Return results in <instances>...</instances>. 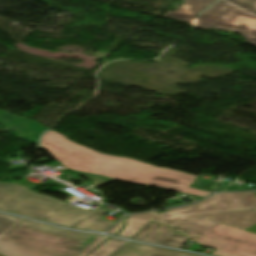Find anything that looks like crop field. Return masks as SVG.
I'll return each mask as SVG.
<instances>
[{"mask_svg":"<svg viewBox=\"0 0 256 256\" xmlns=\"http://www.w3.org/2000/svg\"><path fill=\"white\" fill-rule=\"evenodd\" d=\"M196 28L236 31L256 45V0H219L201 14Z\"/></svg>","mask_w":256,"mask_h":256,"instance_id":"5","label":"crop field"},{"mask_svg":"<svg viewBox=\"0 0 256 256\" xmlns=\"http://www.w3.org/2000/svg\"><path fill=\"white\" fill-rule=\"evenodd\" d=\"M186 3L183 4L177 11L171 13L168 12L165 17L181 20L184 22H192L194 16L206 8V6L215 0H185ZM209 6V5H208Z\"/></svg>","mask_w":256,"mask_h":256,"instance_id":"7","label":"crop field"},{"mask_svg":"<svg viewBox=\"0 0 256 256\" xmlns=\"http://www.w3.org/2000/svg\"><path fill=\"white\" fill-rule=\"evenodd\" d=\"M188 239L174 230L160 244L180 248Z\"/></svg>","mask_w":256,"mask_h":256,"instance_id":"12","label":"crop field"},{"mask_svg":"<svg viewBox=\"0 0 256 256\" xmlns=\"http://www.w3.org/2000/svg\"><path fill=\"white\" fill-rule=\"evenodd\" d=\"M174 256H196V255H192V254H188V253L178 251Z\"/></svg>","mask_w":256,"mask_h":256,"instance_id":"15","label":"crop field"},{"mask_svg":"<svg viewBox=\"0 0 256 256\" xmlns=\"http://www.w3.org/2000/svg\"><path fill=\"white\" fill-rule=\"evenodd\" d=\"M256 223V208L222 224L237 229H245Z\"/></svg>","mask_w":256,"mask_h":256,"instance_id":"11","label":"crop field"},{"mask_svg":"<svg viewBox=\"0 0 256 256\" xmlns=\"http://www.w3.org/2000/svg\"><path fill=\"white\" fill-rule=\"evenodd\" d=\"M97 239L92 234L0 215V254L4 256H78Z\"/></svg>","mask_w":256,"mask_h":256,"instance_id":"3","label":"crop field"},{"mask_svg":"<svg viewBox=\"0 0 256 256\" xmlns=\"http://www.w3.org/2000/svg\"><path fill=\"white\" fill-rule=\"evenodd\" d=\"M41 147L48 150L57 161H61L62 165L93 181L95 187L118 179L201 197L210 193L188 188L197 176L158 168L132 159L98 154L69 141L52 130L42 136Z\"/></svg>","mask_w":256,"mask_h":256,"instance_id":"1","label":"crop field"},{"mask_svg":"<svg viewBox=\"0 0 256 256\" xmlns=\"http://www.w3.org/2000/svg\"><path fill=\"white\" fill-rule=\"evenodd\" d=\"M215 248L212 256H256V234L219 225L194 238Z\"/></svg>","mask_w":256,"mask_h":256,"instance_id":"6","label":"crop field"},{"mask_svg":"<svg viewBox=\"0 0 256 256\" xmlns=\"http://www.w3.org/2000/svg\"><path fill=\"white\" fill-rule=\"evenodd\" d=\"M113 223H109L106 221H102L100 219L92 226L90 230L104 232L108 227H110Z\"/></svg>","mask_w":256,"mask_h":256,"instance_id":"14","label":"crop field"},{"mask_svg":"<svg viewBox=\"0 0 256 256\" xmlns=\"http://www.w3.org/2000/svg\"><path fill=\"white\" fill-rule=\"evenodd\" d=\"M246 231H250V232L256 233V225H254V226H252V227L246 229Z\"/></svg>","mask_w":256,"mask_h":256,"instance_id":"16","label":"crop field"},{"mask_svg":"<svg viewBox=\"0 0 256 256\" xmlns=\"http://www.w3.org/2000/svg\"><path fill=\"white\" fill-rule=\"evenodd\" d=\"M176 252L156 247L151 253L147 256H173Z\"/></svg>","mask_w":256,"mask_h":256,"instance_id":"13","label":"crop field"},{"mask_svg":"<svg viewBox=\"0 0 256 256\" xmlns=\"http://www.w3.org/2000/svg\"><path fill=\"white\" fill-rule=\"evenodd\" d=\"M155 247L138 243H125L112 256H146Z\"/></svg>","mask_w":256,"mask_h":256,"instance_id":"10","label":"crop field"},{"mask_svg":"<svg viewBox=\"0 0 256 256\" xmlns=\"http://www.w3.org/2000/svg\"><path fill=\"white\" fill-rule=\"evenodd\" d=\"M174 229L167 225L149 221L148 224L136 233L132 238L159 244Z\"/></svg>","mask_w":256,"mask_h":256,"instance_id":"8","label":"crop field"},{"mask_svg":"<svg viewBox=\"0 0 256 256\" xmlns=\"http://www.w3.org/2000/svg\"><path fill=\"white\" fill-rule=\"evenodd\" d=\"M107 240L103 245H101L96 251H94L89 256H111L117 249H119L126 241L119 240L112 237L101 236L99 239L89 246L83 253L87 254L100 245L102 242ZM91 253V252H90Z\"/></svg>","mask_w":256,"mask_h":256,"instance_id":"9","label":"crop field"},{"mask_svg":"<svg viewBox=\"0 0 256 256\" xmlns=\"http://www.w3.org/2000/svg\"><path fill=\"white\" fill-rule=\"evenodd\" d=\"M255 206V192L220 193L201 203L183 208L169 209L160 214L148 212L130 215L127 218L126 227L117 235L131 238L149 220H152L167 224L178 232L192 238ZM124 220L126 219H123L107 233L115 235L123 227Z\"/></svg>","mask_w":256,"mask_h":256,"instance_id":"2","label":"crop field"},{"mask_svg":"<svg viewBox=\"0 0 256 256\" xmlns=\"http://www.w3.org/2000/svg\"><path fill=\"white\" fill-rule=\"evenodd\" d=\"M80 256H87V255L81 254Z\"/></svg>","mask_w":256,"mask_h":256,"instance_id":"17","label":"crop field"},{"mask_svg":"<svg viewBox=\"0 0 256 256\" xmlns=\"http://www.w3.org/2000/svg\"><path fill=\"white\" fill-rule=\"evenodd\" d=\"M0 210L61 226L89 230L105 210L86 211L28 190L18 184H0Z\"/></svg>","mask_w":256,"mask_h":256,"instance_id":"4","label":"crop field"}]
</instances>
